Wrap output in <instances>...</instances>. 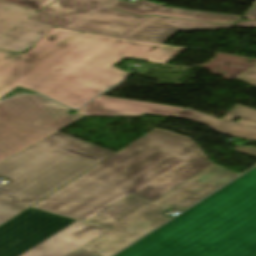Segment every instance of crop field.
Here are the masks:
<instances>
[{
  "label": "crop field",
  "instance_id": "crop-field-1",
  "mask_svg": "<svg viewBox=\"0 0 256 256\" xmlns=\"http://www.w3.org/2000/svg\"><path fill=\"white\" fill-rule=\"evenodd\" d=\"M184 49L54 27L25 54L0 49V97L22 86L76 109L129 75L113 67L123 57L165 64Z\"/></svg>",
  "mask_w": 256,
  "mask_h": 256
},
{
  "label": "crop field",
  "instance_id": "crop-field-2",
  "mask_svg": "<svg viewBox=\"0 0 256 256\" xmlns=\"http://www.w3.org/2000/svg\"><path fill=\"white\" fill-rule=\"evenodd\" d=\"M210 166L194 141L155 128L32 208L86 222L131 194L154 202Z\"/></svg>",
  "mask_w": 256,
  "mask_h": 256
},
{
  "label": "crop field",
  "instance_id": "crop-field-3",
  "mask_svg": "<svg viewBox=\"0 0 256 256\" xmlns=\"http://www.w3.org/2000/svg\"><path fill=\"white\" fill-rule=\"evenodd\" d=\"M116 256H256V168Z\"/></svg>",
  "mask_w": 256,
  "mask_h": 256
},
{
  "label": "crop field",
  "instance_id": "crop-field-4",
  "mask_svg": "<svg viewBox=\"0 0 256 256\" xmlns=\"http://www.w3.org/2000/svg\"><path fill=\"white\" fill-rule=\"evenodd\" d=\"M241 17L165 8L147 0H57L30 19L66 29L164 44L180 31L231 29Z\"/></svg>",
  "mask_w": 256,
  "mask_h": 256
},
{
  "label": "crop field",
  "instance_id": "crop-field-5",
  "mask_svg": "<svg viewBox=\"0 0 256 256\" xmlns=\"http://www.w3.org/2000/svg\"><path fill=\"white\" fill-rule=\"evenodd\" d=\"M114 153L58 132L0 163V226Z\"/></svg>",
  "mask_w": 256,
  "mask_h": 256
},
{
  "label": "crop field",
  "instance_id": "crop-field-6",
  "mask_svg": "<svg viewBox=\"0 0 256 256\" xmlns=\"http://www.w3.org/2000/svg\"><path fill=\"white\" fill-rule=\"evenodd\" d=\"M236 176L212 166L154 203L131 195L88 221L110 230L70 256H111L167 221L163 211L188 207Z\"/></svg>",
  "mask_w": 256,
  "mask_h": 256
},
{
  "label": "crop field",
  "instance_id": "crop-field-7",
  "mask_svg": "<svg viewBox=\"0 0 256 256\" xmlns=\"http://www.w3.org/2000/svg\"><path fill=\"white\" fill-rule=\"evenodd\" d=\"M41 95L0 102V162L83 118Z\"/></svg>",
  "mask_w": 256,
  "mask_h": 256
},
{
  "label": "crop field",
  "instance_id": "crop-field-8",
  "mask_svg": "<svg viewBox=\"0 0 256 256\" xmlns=\"http://www.w3.org/2000/svg\"><path fill=\"white\" fill-rule=\"evenodd\" d=\"M58 215L29 210L0 227V256H19L75 220L65 222ZM21 241L7 246L15 239Z\"/></svg>",
  "mask_w": 256,
  "mask_h": 256
},
{
  "label": "crop field",
  "instance_id": "crop-field-9",
  "mask_svg": "<svg viewBox=\"0 0 256 256\" xmlns=\"http://www.w3.org/2000/svg\"><path fill=\"white\" fill-rule=\"evenodd\" d=\"M35 13L0 1V47L15 52L25 51L53 28L26 18Z\"/></svg>",
  "mask_w": 256,
  "mask_h": 256
},
{
  "label": "crop field",
  "instance_id": "crop-field-10",
  "mask_svg": "<svg viewBox=\"0 0 256 256\" xmlns=\"http://www.w3.org/2000/svg\"><path fill=\"white\" fill-rule=\"evenodd\" d=\"M107 229L76 221L21 256H69Z\"/></svg>",
  "mask_w": 256,
  "mask_h": 256
},
{
  "label": "crop field",
  "instance_id": "crop-field-11",
  "mask_svg": "<svg viewBox=\"0 0 256 256\" xmlns=\"http://www.w3.org/2000/svg\"><path fill=\"white\" fill-rule=\"evenodd\" d=\"M181 109L100 95L77 112L86 116H142L150 113L171 117Z\"/></svg>",
  "mask_w": 256,
  "mask_h": 256
},
{
  "label": "crop field",
  "instance_id": "crop-field-12",
  "mask_svg": "<svg viewBox=\"0 0 256 256\" xmlns=\"http://www.w3.org/2000/svg\"><path fill=\"white\" fill-rule=\"evenodd\" d=\"M235 116L241 119L237 123L230 122ZM174 117L202 123L209 128L224 134L256 140V110L239 104H237L221 120L208 117L189 108Z\"/></svg>",
  "mask_w": 256,
  "mask_h": 256
},
{
  "label": "crop field",
  "instance_id": "crop-field-13",
  "mask_svg": "<svg viewBox=\"0 0 256 256\" xmlns=\"http://www.w3.org/2000/svg\"><path fill=\"white\" fill-rule=\"evenodd\" d=\"M3 1L21 6L24 8L38 11L54 0H3Z\"/></svg>",
  "mask_w": 256,
  "mask_h": 256
},
{
  "label": "crop field",
  "instance_id": "crop-field-14",
  "mask_svg": "<svg viewBox=\"0 0 256 256\" xmlns=\"http://www.w3.org/2000/svg\"><path fill=\"white\" fill-rule=\"evenodd\" d=\"M235 78H238L240 80H243L245 82H248L256 86V65L246 70L245 72L241 73Z\"/></svg>",
  "mask_w": 256,
  "mask_h": 256
},
{
  "label": "crop field",
  "instance_id": "crop-field-15",
  "mask_svg": "<svg viewBox=\"0 0 256 256\" xmlns=\"http://www.w3.org/2000/svg\"><path fill=\"white\" fill-rule=\"evenodd\" d=\"M234 150L256 156V148L237 146V147L234 148Z\"/></svg>",
  "mask_w": 256,
  "mask_h": 256
},
{
  "label": "crop field",
  "instance_id": "crop-field-16",
  "mask_svg": "<svg viewBox=\"0 0 256 256\" xmlns=\"http://www.w3.org/2000/svg\"><path fill=\"white\" fill-rule=\"evenodd\" d=\"M245 15L247 16H243L242 18H246L248 20L256 19V5L253 8L249 9ZM241 19L239 21H241Z\"/></svg>",
  "mask_w": 256,
  "mask_h": 256
},
{
  "label": "crop field",
  "instance_id": "crop-field-17",
  "mask_svg": "<svg viewBox=\"0 0 256 256\" xmlns=\"http://www.w3.org/2000/svg\"><path fill=\"white\" fill-rule=\"evenodd\" d=\"M234 27H251L256 28V20L247 22H237Z\"/></svg>",
  "mask_w": 256,
  "mask_h": 256
},
{
  "label": "crop field",
  "instance_id": "crop-field-18",
  "mask_svg": "<svg viewBox=\"0 0 256 256\" xmlns=\"http://www.w3.org/2000/svg\"><path fill=\"white\" fill-rule=\"evenodd\" d=\"M58 219H61V220L65 221V220H67L68 218H64V217L59 216Z\"/></svg>",
  "mask_w": 256,
  "mask_h": 256
},
{
  "label": "crop field",
  "instance_id": "crop-field-19",
  "mask_svg": "<svg viewBox=\"0 0 256 256\" xmlns=\"http://www.w3.org/2000/svg\"><path fill=\"white\" fill-rule=\"evenodd\" d=\"M18 241H20V240H15L13 243H11L9 246H11V245H13V244H15L16 242H18Z\"/></svg>",
  "mask_w": 256,
  "mask_h": 256
},
{
  "label": "crop field",
  "instance_id": "crop-field-20",
  "mask_svg": "<svg viewBox=\"0 0 256 256\" xmlns=\"http://www.w3.org/2000/svg\"><path fill=\"white\" fill-rule=\"evenodd\" d=\"M28 210H29V209H28ZM26 211H27V210H26ZM26 211H25V212H26ZM23 213H24V212H23Z\"/></svg>",
  "mask_w": 256,
  "mask_h": 256
}]
</instances>
